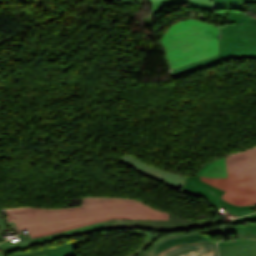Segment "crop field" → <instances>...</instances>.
<instances>
[{
  "instance_id": "1",
  "label": "crop field",
  "mask_w": 256,
  "mask_h": 256,
  "mask_svg": "<svg viewBox=\"0 0 256 256\" xmlns=\"http://www.w3.org/2000/svg\"><path fill=\"white\" fill-rule=\"evenodd\" d=\"M8 222L15 221L19 231L27 229L31 239L110 219H165L168 213L125 197H86L82 207L9 208Z\"/></svg>"
},
{
  "instance_id": "2",
  "label": "crop field",
  "mask_w": 256,
  "mask_h": 256,
  "mask_svg": "<svg viewBox=\"0 0 256 256\" xmlns=\"http://www.w3.org/2000/svg\"><path fill=\"white\" fill-rule=\"evenodd\" d=\"M214 224L211 217L202 221H194L190 219L180 218L174 214L169 213V221L164 220H111L100 222L70 231L49 235L45 237L32 239L34 244L22 246L18 248L9 249V256H36L46 253L48 256H79L76 249L79 248L80 243L91 241V238L85 240H76L64 242L56 246L45 247L32 250L30 252L21 251V249H28L33 245L64 239L69 237L81 236L111 229L123 228H144L154 232H169L191 227H202ZM128 234L141 235L145 237L142 247L130 252L126 256H136L146 250L152 243H154L161 235H150L138 231H128ZM162 234V233H161Z\"/></svg>"
},
{
  "instance_id": "3",
  "label": "crop field",
  "mask_w": 256,
  "mask_h": 256,
  "mask_svg": "<svg viewBox=\"0 0 256 256\" xmlns=\"http://www.w3.org/2000/svg\"><path fill=\"white\" fill-rule=\"evenodd\" d=\"M219 38L218 27L187 19L174 23L159 40L172 70L216 55Z\"/></svg>"
},
{
  "instance_id": "4",
  "label": "crop field",
  "mask_w": 256,
  "mask_h": 256,
  "mask_svg": "<svg viewBox=\"0 0 256 256\" xmlns=\"http://www.w3.org/2000/svg\"><path fill=\"white\" fill-rule=\"evenodd\" d=\"M129 168L153 179L164 182L165 186L181 190L192 196H201L217 210L224 209L236 216L251 213L256 208V196H242L224 192L200 180V177H190L168 173L150 166L128 154L118 159Z\"/></svg>"
},
{
  "instance_id": "5",
  "label": "crop field",
  "mask_w": 256,
  "mask_h": 256,
  "mask_svg": "<svg viewBox=\"0 0 256 256\" xmlns=\"http://www.w3.org/2000/svg\"><path fill=\"white\" fill-rule=\"evenodd\" d=\"M222 38L219 54L201 61L172 70L174 79L202 67L219 64L221 60L250 58L256 59V25L242 23L220 27Z\"/></svg>"
},
{
  "instance_id": "6",
  "label": "crop field",
  "mask_w": 256,
  "mask_h": 256,
  "mask_svg": "<svg viewBox=\"0 0 256 256\" xmlns=\"http://www.w3.org/2000/svg\"><path fill=\"white\" fill-rule=\"evenodd\" d=\"M228 178L202 180L228 192L256 195V147L227 157Z\"/></svg>"
},
{
  "instance_id": "7",
  "label": "crop field",
  "mask_w": 256,
  "mask_h": 256,
  "mask_svg": "<svg viewBox=\"0 0 256 256\" xmlns=\"http://www.w3.org/2000/svg\"><path fill=\"white\" fill-rule=\"evenodd\" d=\"M217 242V241H216ZM216 242L199 231L159 238L142 254L146 256H218Z\"/></svg>"
},
{
  "instance_id": "8",
  "label": "crop field",
  "mask_w": 256,
  "mask_h": 256,
  "mask_svg": "<svg viewBox=\"0 0 256 256\" xmlns=\"http://www.w3.org/2000/svg\"><path fill=\"white\" fill-rule=\"evenodd\" d=\"M214 233L237 234L238 238L230 241H221L218 246L256 242V225L247 224L246 226H224L214 229Z\"/></svg>"
},
{
  "instance_id": "9",
  "label": "crop field",
  "mask_w": 256,
  "mask_h": 256,
  "mask_svg": "<svg viewBox=\"0 0 256 256\" xmlns=\"http://www.w3.org/2000/svg\"><path fill=\"white\" fill-rule=\"evenodd\" d=\"M216 16L219 21L220 26L230 25V24H241L242 21L256 24V19H253L244 14L241 11H231V10H222L216 11Z\"/></svg>"
},
{
  "instance_id": "10",
  "label": "crop field",
  "mask_w": 256,
  "mask_h": 256,
  "mask_svg": "<svg viewBox=\"0 0 256 256\" xmlns=\"http://www.w3.org/2000/svg\"><path fill=\"white\" fill-rule=\"evenodd\" d=\"M219 256H256V243L218 247Z\"/></svg>"
},
{
  "instance_id": "11",
  "label": "crop field",
  "mask_w": 256,
  "mask_h": 256,
  "mask_svg": "<svg viewBox=\"0 0 256 256\" xmlns=\"http://www.w3.org/2000/svg\"><path fill=\"white\" fill-rule=\"evenodd\" d=\"M225 158L209 163L208 165L204 166L200 171H198L195 176H204L209 178L227 177Z\"/></svg>"
},
{
  "instance_id": "12",
  "label": "crop field",
  "mask_w": 256,
  "mask_h": 256,
  "mask_svg": "<svg viewBox=\"0 0 256 256\" xmlns=\"http://www.w3.org/2000/svg\"><path fill=\"white\" fill-rule=\"evenodd\" d=\"M247 0H213L215 10L231 9V10H245Z\"/></svg>"
},
{
  "instance_id": "13",
  "label": "crop field",
  "mask_w": 256,
  "mask_h": 256,
  "mask_svg": "<svg viewBox=\"0 0 256 256\" xmlns=\"http://www.w3.org/2000/svg\"><path fill=\"white\" fill-rule=\"evenodd\" d=\"M187 1L188 0H164L161 2H152L153 3L152 14L155 15L159 13L165 6L187 2Z\"/></svg>"
},
{
  "instance_id": "14",
  "label": "crop field",
  "mask_w": 256,
  "mask_h": 256,
  "mask_svg": "<svg viewBox=\"0 0 256 256\" xmlns=\"http://www.w3.org/2000/svg\"><path fill=\"white\" fill-rule=\"evenodd\" d=\"M189 8H199V9H202V10H206L210 13H213L212 7L209 4L190 2Z\"/></svg>"
},
{
  "instance_id": "15",
  "label": "crop field",
  "mask_w": 256,
  "mask_h": 256,
  "mask_svg": "<svg viewBox=\"0 0 256 256\" xmlns=\"http://www.w3.org/2000/svg\"><path fill=\"white\" fill-rule=\"evenodd\" d=\"M246 220H256V213L233 219V220L230 221V223L244 222Z\"/></svg>"
},
{
  "instance_id": "16",
  "label": "crop field",
  "mask_w": 256,
  "mask_h": 256,
  "mask_svg": "<svg viewBox=\"0 0 256 256\" xmlns=\"http://www.w3.org/2000/svg\"><path fill=\"white\" fill-rule=\"evenodd\" d=\"M201 201H202V200H201ZM202 202H203V201H202ZM203 203H204L205 206L208 208L209 212H210V213H213V214L215 215L216 223H217V224L224 223V221H223V219L220 217V215H218V214L215 212V210H213V209L211 208L210 205L206 204L205 202H203Z\"/></svg>"
},
{
  "instance_id": "17",
  "label": "crop field",
  "mask_w": 256,
  "mask_h": 256,
  "mask_svg": "<svg viewBox=\"0 0 256 256\" xmlns=\"http://www.w3.org/2000/svg\"><path fill=\"white\" fill-rule=\"evenodd\" d=\"M151 1H160V0H151ZM189 1H196V2H203L211 4V0H189Z\"/></svg>"
},
{
  "instance_id": "18",
  "label": "crop field",
  "mask_w": 256,
  "mask_h": 256,
  "mask_svg": "<svg viewBox=\"0 0 256 256\" xmlns=\"http://www.w3.org/2000/svg\"><path fill=\"white\" fill-rule=\"evenodd\" d=\"M205 233H213V229L212 230H206L204 231Z\"/></svg>"
},
{
  "instance_id": "19",
  "label": "crop field",
  "mask_w": 256,
  "mask_h": 256,
  "mask_svg": "<svg viewBox=\"0 0 256 256\" xmlns=\"http://www.w3.org/2000/svg\"><path fill=\"white\" fill-rule=\"evenodd\" d=\"M248 3H256V0H248Z\"/></svg>"
},
{
  "instance_id": "20",
  "label": "crop field",
  "mask_w": 256,
  "mask_h": 256,
  "mask_svg": "<svg viewBox=\"0 0 256 256\" xmlns=\"http://www.w3.org/2000/svg\"><path fill=\"white\" fill-rule=\"evenodd\" d=\"M40 256H47L46 254H44V255H40Z\"/></svg>"
},
{
  "instance_id": "21",
  "label": "crop field",
  "mask_w": 256,
  "mask_h": 256,
  "mask_svg": "<svg viewBox=\"0 0 256 256\" xmlns=\"http://www.w3.org/2000/svg\"><path fill=\"white\" fill-rule=\"evenodd\" d=\"M138 256H144V255L140 254V255H138Z\"/></svg>"
},
{
  "instance_id": "22",
  "label": "crop field",
  "mask_w": 256,
  "mask_h": 256,
  "mask_svg": "<svg viewBox=\"0 0 256 256\" xmlns=\"http://www.w3.org/2000/svg\"><path fill=\"white\" fill-rule=\"evenodd\" d=\"M1 213V212H0Z\"/></svg>"
}]
</instances>
